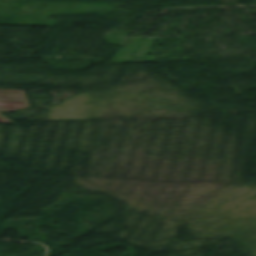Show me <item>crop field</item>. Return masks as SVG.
Returning a JSON list of instances; mask_svg holds the SVG:
<instances>
[{
	"label": "crop field",
	"mask_w": 256,
	"mask_h": 256,
	"mask_svg": "<svg viewBox=\"0 0 256 256\" xmlns=\"http://www.w3.org/2000/svg\"><path fill=\"white\" fill-rule=\"evenodd\" d=\"M29 107L22 91L0 90V113ZM0 122H10L0 115Z\"/></svg>",
	"instance_id": "crop-field-1"
}]
</instances>
